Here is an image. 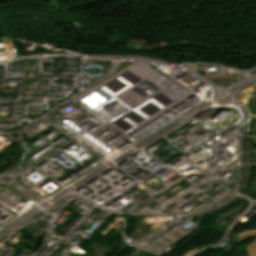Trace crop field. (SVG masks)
I'll return each instance as SVG.
<instances>
[{
  "label": "crop field",
  "instance_id": "obj_1",
  "mask_svg": "<svg viewBox=\"0 0 256 256\" xmlns=\"http://www.w3.org/2000/svg\"><path fill=\"white\" fill-rule=\"evenodd\" d=\"M255 235H256V229L246 230V231L237 233L236 240L238 241V243H240V242H242L250 237H253ZM246 251L251 256H256V239L253 240L252 243L248 244Z\"/></svg>",
  "mask_w": 256,
  "mask_h": 256
}]
</instances>
